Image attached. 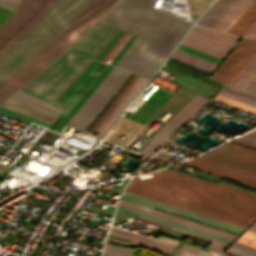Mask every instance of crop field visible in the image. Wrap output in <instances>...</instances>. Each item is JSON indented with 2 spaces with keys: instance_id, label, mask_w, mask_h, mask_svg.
I'll list each match as a JSON object with an SVG mask.
<instances>
[{
  "instance_id": "obj_1",
  "label": "crop field",
  "mask_w": 256,
  "mask_h": 256,
  "mask_svg": "<svg viewBox=\"0 0 256 256\" xmlns=\"http://www.w3.org/2000/svg\"><path fill=\"white\" fill-rule=\"evenodd\" d=\"M154 175V176H153ZM134 177L126 192L246 228L256 218V193L170 169Z\"/></svg>"
},
{
  "instance_id": "obj_2",
  "label": "crop field",
  "mask_w": 256,
  "mask_h": 256,
  "mask_svg": "<svg viewBox=\"0 0 256 256\" xmlns=\"http://www.w3.org/2000/svg\"><path fill=\"white\" fill-rule=\"evenodd\" d=\"M154 0H118L99 22L140 35L117 66L147 78L191 23L152 8Z\"/></svg>"
},
{
  "instance_id": "obj_3",
  "label": "crop field",
  "mask_w": 256,
  "mask_h": 256,
  "mask_svg": "<svg viewBox=\"0 0 256 256\" xmlns=\"http://www.w3.org/2000/svg\"><path fill=\"white\" fill-rule=\"evenodd\" d=\"M115 1L91 0L59 35L0 85V105L79 39Z\"/></svg>"
},
{
  "instance_id": "obj_4",
  "label": "crop field",
  "mask_w": 256,
  "mask_h": 256,
  "mask_svg": "<svg viewBox=\"0 0 256 256\" xmlns=\"http://www.w3.org/2000/svg\"><path fill=\"white\" fill-rule=\"evenodd\" d=\"M89 1L56 0L43 18L0 56V84L60 33Z\"/></svg>"
},
{
  "instance_id": "obj_5",
  "label": "crop field",
  "mask_w": 256,
  "mask_h": 256,
  "mask_svg": "<svg viewBox=\"0 0 256 256\" xmlns=\"http://www.w3.org/2000/svg\"><path fill=\"white\" fill-rule=\"evenodd\" d=\"M180 164L256 189V151L231 142Z\"/></svg>"
},
{
  "instance_id": "obj_6",
  "label": "crop field",
  "mask_w": 256,
  "mask_h": 256,
  "mask_svg": "<svg viewBox=\"0 0 256 256\" xmlns=\"http://www.w3.org/2000/svg\"><path fill=\"white\" fill-rule=\"evenodd\" d=\"M90 60L89 57L66 51L21 90L65 110L67 106L54 101V99Z\"/></svg>"
},
{
  "instance_id": "obj_7",
  "label": "crop field",
  "mask_w": 256,
  "mask_h": 256,
  "mask_svg": "<svg viewBox=\"0 0 256 256\" xmlns=\"http://www.w3.org/2000/svg\"><path fill=\"white\" fill-rule=\"evenodd\" d=\"M53 1H21L16 11L0 26V55L40 18Z\"/></svg>"
},
{
  "instance_id": "obj_8",
  "label": "crop field",
  "mask_w": 256,
  "mask_h": 256,
  "mask_svg": "<svg viewBox=\"0 0 256 256\" xmlns=\"http://www.w3.org/2000/svg\"><path fill=\"white\" fill-rule=\"evenodd\" d=\"M129 74L130 72L113 67L68 124L86 130L95 116L129 76Z\"/></svg>"
},
{
  "instance_id": "obj_9",
  "label": "crop field",
  "mask_w": 256,
  "mask_h": 256,
  "mask_svg": "<svg viewBox=\"0 0 256 256\" xmlns=\"http://www.w3.org/2000/svg\"><path fill=\"white\" fill-rule=\"evenodd\" d=\"M209 100L195 95L183 108L173 115L155 134L153 139L141 152L144 155L152 156L160 147L161 143L176 129L190 120Z\"/></svg>"
},
{
  "instance_id": "obj_10",
  "label": "crop field",
  "mask_w": 256,
  "mask_h": 256,
  "mask_svg": "<svg viewBox=\"0 0 256 256\" xmlns=\"http://www.w3.org/2000/svg\"><path fill=\"white\" fill-rule=\"evenodd\" d=\"M255 53L256 40L243 38L213 77H211L229 85Z\"/></svg>"
},
{
  "instance_id": "obj_11",
  "label": "crop field",
  "mask_w": 256,
  "mask_h": 256,
  "mask_svg": "<svg viewBox=\"0 0 256 256\" xmlns=\"http://www.w3.org/2000/svg\"><path fill=\"white\" fill-rule=\"evenodd\" d=\"M116 29L96 23L68 50L94 57L114 34Z\"/></svg>"
},
{
  "instance_id": "obj_12",
  "label": "crop field",
  "mask_w": 256,
  "mask_h": 256,
  "mask_svg": "<svg viewBox=\"0 0 256 256\" xmlns=\"http://www.w3.org/2000/svg\"><path fill=\"white\" fill-rule=\"evenodd\" d=\"M118 205L132 209V210H136V211H139L142 213H146V214H149V215H152L155 217H159V218H162L165 220H169V221H172V222H175L178 224H182V225L194 228V229H198V230H201V231H204L207 233H211V234H214V235H217V236H220L223 238H227L230 240H232L233 238L236 237V235H233V234H230V233H227L224 231H220V230H217V229H214V228H211V227H208V226L196 223V222H192V221H189V220H186V219L174 216V215H170V214H167V213H164L161 211H157V210L147 208V207H144L141 205H137V204H134L131 202H127L124 200H120Z\"/></svg>"
},
{
  "instance_id": "obj_13",
  "label": "crop field",
  "mask_w": 256,
  "mask_h": 256,
  "mask_svg": "<svg viewBox=\"0 0 256 256\" xmlns=\"http://www.w3.org/2000/svg\"><path fill=\"white\" fill-rule=\"evenodd\" d=\"M109 234L134 240V244L145 246L166 255H168L171 250L178 244V242L169 238L161 237V239L157 241L140 234L129 232L116 227H112Z\"/></svg>"
},
{
  "instance_id": "obj_14",
  "label": "crop field",
  "mask_w": 256,
  "mask_h": 256,
  "mask_svg": "<svg viewBox=\"0 0 256 256\" xmlns=\"http://www.w3.org/2000/svg\"><path fill=\"white\" fill-rule=\"evenodd\" d=\"M189 35L205 40L212 44L218 45L220 47L226 48L228 50H230L231 47L239 39L238 37L223 34L198 26H194L193 29L190 31Z\"/></svg>"
},
{
  "instance_id": "obj_15",
  "label": "crop field",
  "mask_w": 256,
  "mask_h": 256,
  "mask_svg": "<svg viewBox=\"0 0 256 256\" xmlns=\"http://www.w3.org/2000/svg\"><path fill=\"white\" fill-rule=\"evenodd\" d=\"M107 64L98 63V65L92 70V72L84 79V81L77 87V89L72 93V95L64 103L69 107L64 111L59 119L51 126L50 129H54L55 126L61 121V119L68 113V111L73 107L77 100L82 96L86 89L91 85V83L96 79V77L101 73Z\"/></svg>"
},
{
  "instance_id": "obj_16",
  "label": "crop field",
  "mask_w": 256,
  "mask_h": 256,
  "mask_svg": "<svg viewBox=\"0 0 256 256\" xmlns=\"http://www.w3.org/2000/svg\"><path fill=\"white\" fill-rule=\"evenodd\" d=\"M10 99L15 100L17 102H20L22 104H25L27 106H30L32 108H35L37 110H40L42 112H45L47 114H50L55 117H59L63 110L52 106L44 101H41L23 91L16 92Z\"/></svg>"
},
{
  "instance_id": "obj_17",
  "label": "crop field",
  "mask_w": 256,
  "mask_h": 256,
  "mask_svg": "<svg viewBox=\"0 0 256 256\" xmlns=\"http://www.w3.org/2000/svg\"><path fill=\"white\" fill-rule=\"evenodd\" d=\"M121 199H125V200H128V201H132V202H135V203L146 205V206H149V207H152V208H156V209H159V210H163V211H166V212L177 214V215H180V216H183V217H186V218H190V219H193V220L205 223V224H209V225H212V226H215V227L227 230V231H231V232H234V233H237V234H239L241 232V230H238V229H234V228L222 225V224H218V223L206 220V219H202V218L190 215V214H186V213H183V212H180V211H177V210H173V209H170V208H167V207H163V206H160V205H157V204H154V203H150V202H147V201H144V200H141V199H137V198H134V197H131V196H127V195H124V194H122Z\"/></svg>"
},
{
  "instance_id": "obj_18",
  "label": "crop field",
  "mask_w": 256,
  "mask_h": 256,
  "mask_svg": "<svg viewBox=\"0 0 256 256\" xmlns=\"http://www.w3.org/2000/svg\"><path fill=\"white\" fill-rule=\"evenodd\" d=\"M236 0H217L205 13L198 25L211 28Z\"/></svg>"
},
{
  "instance_id": "obj_19",
  "label": "crop field",
  "mask_w": 256,
  "mask_h": 256,
  "mask_svg": "<svg viewBox=\"0 0 256 256\" xmlns=\"http://www.w3.org/2000/svg\"><path fill=\"white\" fill-rule=\"evenodd\" d=\"M182 44L222 59L228 50L187 35Z\"/></svg>"
},
{
  "instance_id": "obj_20",
  "label": "crop field",
  "mask_w": 256,
  "mask_h": 256,
  "mask_svg": "<svg viewBox=\"0 0 256 256\" xmlns=\"http://www.w3.org/2000/svg\"><path fill=\"white\" fill-rule=\"evenodd\" d=\"M171 58L176 59L178 61L184 62L196 68L202 69L209 73L217 66V64L209 62L207 60L201 59L194 55L188 54L186 52L180 51L178 49L172 54Z\"/></svg>"
},
{
  "instance_id": "obj_21",
  "label": "crop field",
  "mask_w": 256,
  "mask_h": 256,
  "mask_svg": "<svg viewBox=\"0 0 256 256\" xmlns=\"http://www.w3.org/2000/svg\"><path fill=\"white\" fill-rule=\"evenodd\" d=\"M256 22V1L232 26L228 33L243 36L247 30Z\"/></svg>"
},
{
  "instance_id": "obj_22",
  "label": "crop field",
  "mask_w": 256,
  "mask_h": 256,
  "mask_svg": "<svg viewBox=\"0 0 256 256\" xmlns=\"http://www.w3.org/2000/svg\"><path fill=\"white\" fill-rule=\"evenodd\" d=\"M112 66L107 65L106 69L101 73V75L93 82V84L87 89L83 96L78 100L74 107L69 111V113L63 118V120L56 126L54 131L60 132L61 129L66 125L70 118L75 114L79 107L84 103L92 91L97 87V85L102 81V79L111 70Z\"/></svg>"
},
{
  "instance_id": "obj_23",
  "label": "crop field",
  "mask_w": 256,
  "mask_h": 256,
  "mask_svg": "<svg viewBox=\"0 0 256 256\" xmlns=\"http://www.w3.org/2000/svg\"><path fill=\"white\" fill-rule=\"evenodd\" d=\"M249 1L237 0L212 28L223 31Z\"/></svg>"
},
{
  "instance_id": "obj_24",
  "label": "crop field",
  "mask_w": 256,
  "mask_h": 256,
  "mask_svg": "<svg viewBox=\"0 0 256 256\" xmlns=\"http://www.w3.org/2000/svg\"><path fill=\"white\" fill-rule=\"evenodd\" d=\"M138 220H142V221L157 224V225H160V226L168 227V228H171V229H174V230H177V231H180V232H183V233H186V234H189V235H192V236L210 241L212 243L210 244L209 248H212V249L217 250L219 252H221L228 245V243H225V242H222V241H218V240H215V239L203 236V235H199V234H196V233L184 230V229H180V228H177V227H174V226H171V225H167V224L160 223V222H157V221H153V220H150V219H146V218H143V217H138Z\"/></svg>"
},
{
  "instance_id": "obj_25",
  "label": "crop field",
  "mask_w": 256,
  "mask_h": 256,
  "mask_svg": "<svg viewBox=\"0 0 256 256\" xmlns=\"http://www.w3.org/2000/svg\"><path fill=\"white\" fill-rule=\"evenodd\" d=\"M146 80L141 79V81L138 83V85L134 88V90L131 92V94L127 97V99L124 101V103L120 106V108L117 110V112L114 114V116L110 119V121L107 123V125L103 128V130L99 133L98 137H102L105 132L112 126L114 121L117 119L119 114L122 112L124 107L128 104V102L135 96V94L141 89V87L145 84Z\"/></svg>"
},
{
  "instance_id": "obj_26",
  "label": "crop field",
  "mask_w": 256,
  "mask_h": 256,
  "mask_svg": "<svg viewBox=\"0 0 256 256\" xmlns=\"http://www.w3.org/2000/svg\"><path fill=\"white\" fill-rule=\"evenodd\" d=\"M117 209L125 211V212H129V213H132V214L144 216V217H147V218H150V219H154V220H157V221H161V222H164V223H167V224H171V225H174V226H177V227H180V228H184V229H187V230L199 233V234H203V235H206V236H209V237H212V238H215V239L222 240V241L230 243V240L223 239V238L211 235V234H207V233H204V232H201V231H198V230H194V229H191V228H188V227H185V226H182V225H178V224H175V223H172V222H169V221H165V220H162V219H159V218H155V217H152V216H149V215H145V214H142V213H139V212H136V211H132V210H129V209H126V208H122V207H119V206H118Z\"/></svg>"
},
{
  "instance_id": "obj_27",
  "label": "crop field",
  "mask_w": 256,
  "mask_h": 256,
  "mask_svg": "<svg viewBox=\"0 0 256 256\" xmlns=\"http://www.w3.org/2000/svg\"><path fill=\"white\" fill-rule=\"evenodd\" d=\"M176 256H225V255L218 254L212 250L202 251L200 249L185 245Z\"/></svg>"
},
{
  "instance_id": "obj_28",
  "label": "crop field",
  "mask_w": 256,
  "mask_h": 256,
  "mask_svg": "<svg viewBox=\"0 0 256 256\" xmlns=\"http://www.w3.org/2000/svg\"><path fill=\"white\" fill-rule=\"evenodd\" d=\"M256 65V54L253 58L248 62V64L242 69V71L237 75V77L232 81L230 86L238 88L239 85L243 82V80L247 77V75L251 72V70Z\"/></svg>"
},
{
  "instance_id": "obj_29",
  "label": "crop field",
  "mask_w": 256,
  "mask_h": 256,
  "mask_svg": "<svg viewBox=\"0 0 256 256\" xmlns=\"http://www.w3.org/2000/svg\"><path fill=\"white\" fill-rule=\"evenodd\" d=\"M124 194L131 195V196H134V197H137V198H141V199H144V200H147V201H150V202H154V203H157V204H160V205H163V206H167V207H170V208H173V209H177V210H180V211H183V212H186V213H190V214H193V215H196V216H199V217H202V218H206V219L218 222V223H222V224L234 227V228H238V229H241V230L244 229V228H241V227H238V226H235V225H232V224H228V223H225V222H222V221H219V220H216V219H213V218L201 215V214H197V213H194V212L182 209V208H178V207H175V206H171V205H168V204H164V203H161V202H157V201H154V200H151V199H147V198L140 197V196H137V195L126 193V192H124Z\"/></svg>"
},
{
  "instance_id": "obj_30",
  "label": "crop field",
  "mask_w": 256,
  "mask_h": 256,
  "mask_svg": "<svg viewBox=\"0 0 256 256\" xmlns=\"http://www.w3.org/2000/svg\"><path fill=\"white\" fill-rule=\"evenodd\" d=\"M98 61L94 60L93 63L83 72V74L71 85V87L62 95L59 101L64 102L66 98L75 90V88L83 81V79L91 72L97 65Z\"/></svg>"
},
{
  "instance_id": "obj_31",
  "label": "crop field",
  "mask_w": 256,
  "mask_h": 256,
  "mask_svg": "<svg viewBox=\"0 0 256 256\" xmlns=\"http://www.w3.org/2000/svg\"><path fill=\"white\" fill-rule=\"evenodd\" d=\"M214 100H217V101L223 102L225 104H228V105H231V106H234V107H237V108H240V109H243L248 112L256 114V108L248 106L246 104H243V103H240V102H237V101H234V100H231V99L219 96V95H217L214 98Z\"/></svg>"
},
{
  "instance_id": "obj_32",
  "label": "crop field",
  "mask_w": 256,
  "mask_h": 256,
  "mask_svg": "<svg viewBox=\"0 0 256 256\" xmlns=\"http://www.w3.org/2000/svg\"><path fill=\"white\" fill-rule=\"evenodd\" d=\"M137 76L134 75L132 80L129 82V84L126 86V88L123 90V92L120 94V96L116 99V101L111 105V107L105 112V114L100 118V120L96 123V125L92 128L90 133H94V131L98 128V126L103 122V120L107 117V115L111 112V110L116 106V104L120 101V99L124 96V94L127 92V90L130 88V86L133 84V82L136 80Z\"/></svg>"
},
{
  "instance_id": "obj_33",
  "label": "crop field",
  "mask_w": 256,
  "mask_h": 256,
  "mask_svg": "<svg viewBox=\"0 0 256 256\" xmlns=\"http://www.w3.org/2000/svg\"><path fill=\"white\" fill-rule=\"evenodd\" d=\"M219 95H222V96H225V97H228V98H231V99H234V100H237V101H240V102H243V103H246V104L256 107V100L238 95L236 93H233V92H230V91H227L224 89H222L220 91Z\"/></svg>"
},
{
  "instance_id": "obj_34",
  "label": "crop field",
  "mask_w": 256,
  "mask_h": 256,
  "mask_svg": "<svg viewBox=\"0 0 256 256\" xmlns=\"http://www.w3.org/2000/svg\"><path fill=\"white\" fill-rule=\"evenodd\" d=\"M1 107H4V108L9 109V110H12V111H15V112L20 113V114H23V115H26V116H28V117L34 118V119H36V120L45 122V123L50 124V125H52V124L54 123V121H51V120H49V119H46V118L37 116V115L32 114V113H29V112H26V111H24V110L18 109V108H16V107L10 106V105L5 104V103H3V104L1 105Z\"/></svg>"
},
{
  "instance_id": "obj_35",
  "label": "crop field",
  "mask_w": 256,
  "mask_h": 256,
  "mask_svg": "<svg viewBox=\"0 0 256 256\" xmlns=\"http://www.w3.org/2000/svg\"><path fill=\"white\" fill-rule=\"evenodd\" d=\"M178 49L186 51V52L191 53V54H194V55L199 56L201 58L207 59L209 61L215 62L217 64H219V62H220V59H218V58H215L213 56L207 55V54L202 53L200 51H197L195 49L189 48V47L184 46L182 44L179 45Z\"/></svg>"
},
{
  "instance_id": "obj_36",
  "label": "crop field",
  "mask_w": 256,
  "mask_h": 256,
  "mask_svg": "<svg viewBox=\"0 0 256 256\" xmlns=\"http://www.w3.org/2000/svg\"><path fill=\"white\" fill-rule=\"evenodd\" d=\"M237 241L256 248V233L247 230Z\"/></svg>"
},
{
  "instance_id": "obj_37",
  "label": "crop field",
  "mask_w": 256,
  "mask_h": 256,
  "mask_svg": "<svg viewBox=\"0 0 256 256\" xmlns=\"http://www.w3.org/2000/svg\"><path fill=\"white\" fill-rule=\"evenodd\" d=\"M0 113H3V114H6V115H9V116H13V117H16V118H19V119H22V120H25V121H28V122H33V123H36V124H39V125H42V126H45V127L50 128V125H47V124H45V123L36 121V120H34V119L25 117V116H23V115L17 114V113H15V112L6 110V109L1 108V107H0Z\"/></svg>"
},
{
  "instance_id": "obj_38",
  "label": "crop field",
  "mask_w": 256,
  "mask_h": 256,
  "mask_svg": "<svg viewBox=\"0 0 256 256\" xmlns=\"http://www.w3.org/2000/svg\"><path fill=\"white\" fill-rule=\"evenodd\" d=\"M5 103H8V104H10V105L19 107V108L24 109V110H27V111H30V112H32V113L38 114V115H40V116L49 118V119L54 120V121L57 119V118H55V117H52V116H50V115H47V114H45V113H42V112H40V111H37V110H35V109H32V108L27 107V106H25V105L19 104V103H17V102H14V101H12V100H9V99L6 100Z\"/></svg>"
},
{
  "instance_id": "obj_39",
  "label": "crop field",
  "mask_w": 256,
  "mask_h": 256,
  "mask_svg": "<svg viewBox=\"0 0 256 256\" xmlns=\"http://www.w3.org/2000/svg\"><path fill=\"white\" fill-rule=\"evenodd\" d=\"M140 77L137 78V80L134 82V84L131 86V88L128 90V92L125 94V96L121 99V101L117 104V106L114 108V110L110 113V115L106 118V120L103 122V124L99 127V131L102 130V128L106 125V123L109 121V119L112 117V115L116 112V110L119 108V106L123 103V101L126 99V97L130 94V92L133 90V88L137 85V83L140 81Z\"/></svg>"
},
{
  "instance_id": "obj_40",
  "label": "crop field",
  "mask_w": 256,
  "mask_h": 256,
  "mask_svg": "<svg viewBox=\"0 0 256 256\" xmlns=\"http://www.w3.org/2000/svg\"><path fill=\"white\" fill-rule=\"evenodd\" d=\"M104 251L114 253V254H118V255H122V256H131V251L130 250L118 248V247L107 245V244L105 246Z\"/></svg>"
},
{
  "instance_id": "obj_41",
  "label": "crop field",
  "mask_w": 256,
  "mask_h": 256,
  "mask_svg": "<svg viewBox=\"0 0 256 256\" xmlns=\"http://www.w3.org/2000/svg\"><path fill=\"white\" fill-rule=\"evenodd\" d=\"M136 36H131L128 41L125 43V45L121 48V50L118 52V54L113 58V60L110 62V64L114 65L115 62L120 58V56L125 52V50L130 46V44L135 40ZM132 39V40H131Z\"/></svg>"
},
{
  "instance_id": "obj_42",
  "label": "crop field",
  "mask_w": 256,
  "mask_h": 256,
  "mask_svg": "<svg viewBox=\"0 0 256 256\" xmlns=\"http://www.w3.org/2000/svg\"><path fill=\"white\" fill-rule=\"evenodd\" d=\"M226 253L234 255V256H256L254 254H251L249 252L243 251L241 249L235 248L233 246H231Z\"/></svg>"
},
{
  "instance_id": "obj_43",
  "label": "crop field",
  "mask_w": 256,
  "mask_h": 256,
  "mask_svg": "<svg viewBox=\"0 0 256 256\" xmlns=\"http://www.w3.org/2000/svg\"><path fill=\"white\" fill-rule=\"evenodd\" d=\"M123 33V31H119L118 34L113 38V40L107 45V47L102 51V53L98 56V60H100L109 50L110 48L115 44V42L118 40L120 35Z\"/></svg>"
},
{
  "instance_id": "obj_44",
  "label": "crop field",
  "mask_w": 256,
  "mask_h": 256,
  "mask_svg": "<svg viewBox=\"0 0 256 256\" xmlns=\"http://www.w3.org/2000/svg\"><path fill=\"white\" fill-rule=\"evenodd\" d=\"M224 89L239 93L241 95L256 99V95L225 85Z\"/></svg>"
},
{
  "instance_id": "obj_45",
  "label": "crop field",
  "mask_w": 256,
  "mask_h": 256,
  "mask_svg": "<svg viewBox=\"0 0 256 256\" xmlns=\"http://www.w3.org/2000/svg\"><path fill=\"white\" fill-rule=\"evenodd\" d=\"M127 36V33H123V35L120 37V39L117 41V43L112 47V49L101 59V61H106L108 57L113 53V51L116 49V47L122 42V40Z\"/></svg>"
},
{
  "instance_id": "obj_46",
  "label": "crop field",
  "mask_w": 256,
  "mask_h": 256,
  "mask_svg": "<svg viewBox=\"0 0 256 256\" xmlns=\"http://www.w3.org/2000/svg\"><path fill=\"white\" fill-rule=\"evenodd\" d=\"M256 75V67L252 70V72L248 75V77L244 80V82L240 85V89H245V87L250 83V81L255 77Z\"/></svg>"
},
{
  "instance_id": "obj_47",
  "label": "crop field",
  "mask_w": 256,
  "mask_h": 256,
  "mask_svg": "<svg viewBox=\"0 0 256 256\" xmlns=\"http://www.w3.org/2000/svg\"><path fill=\"white\" fill-rule=\"evenodd\" d=\"M255 0H251L247 6L237 15V17L228 25V27L224 30L227 32L231 26L240 18V16L250 7V5L254 2Z\"/></svg>"
},
{
  "instance_id": "obj_48",
  "label": "crop field",
  "mask_w": 256,
  "mask_h": 256,
  "mask_svg": "<svg viewBox=\"0 0 256 256\" xmlns=\"http://www.w3.org/2000/svg\"><path fill=\"white\" fill-rule=\"evenodd\" d=\"M12 11L0 8V25L11 15Z\"/></svg>"
},
{
  "instance_id": "obj_49",
  "label": "crop field",
  "mask_w": 256,
  "mask_h": 256,
  "mask_svg": "<svg viewBox=\"0 0 256 256\" xmlns=\"http://www.w3.org/2000/svg\"><path fill=\"white\" fill-rule=\"evenodd\" d=\"M0 7H3V8H6V9L14 11V9L17 7V5L13 4V3H9V2H5V1H1L0 0Z\"/></svg>"
},
{
  "instance_id": "obj_50",
  "label": "crop field",
  "mask_w": 256,
  "mask_h": 256,
  "mask_svg": "<svg viewBox=\"0 0 256 256\" xmlns=\"http://www.w3.org/2000/svg\"><path fill=\"white\" fill-rule=\"evenodd\" d=\"M245 91L256 94V77L251 81V83L246 87Z\"/></svg>"
},
{
  "instance_id": "obj_51",
  "label": "crop field",
  "mask_w": 256,
  "mask_h": 256,
  "mask_svg": "<svg viewBox=\"0 0 256 256\" xmlns=\"http://www.w3.org/2000/svg\"><path fill=\"white\" fill-rule=\"evenodd\" d=\"M244 36L256 38V23L248 30Z\"/></svg>"
},
{
  "instance_id": "obj_52",
  "label": "crop field",
  "mask_w": 256,
  "mask_h": 256,
  "mask_svg": "<svg viewBox=\"0 0 256 256\" xmlns=\"http://www.w3.org/2000/svg\"><path fill=\"white\" fill-rule=\"evenodd\" d=\"M131 36V34H128V36L123 40V42L118 46V48L115 50V52L109 57V59L106 61L109 63L111 59L117 54V52L120 50V48L124 45V43L127 41V39Z\"/></svg>"
},
{
  "instance_id": "obj_53",
  "label": "crop field",
  "mask_w": 256,
  "mask_h": 256,
  "mask_svg": "<svg viewBox=\"0 0 256 256\" xmlns=\"http://www.w3.org/2000/svg\"><path fill=\"white\" fill-rule=\"evenodd\" d=\"M232 142H235V143H238V144L245 145V146L256 149V145L251 144V143H247V142H244V141H241V140H238V139H235Z\"/></svg>"
},
{
  "instance_id": "obj_54",
  "label": "crop field",
  "mask_w": 256,
  "mask_h": 256,
  "mask_svg": "<svg viewBox=\"0 0 256 256\" xmlns=\"http://www.w3.org/2000/svg\"><path fill=\"white\" fill-rule=\"evenodd\" d=\"M108 240H112V241H116V242H120V243H123V244H127V245H131L132 246V244H129V243H125V242H122V241H119V240H116V239H112V238H107Z\"/></svg>"
},
{
  "instance_id": "obj_55",
  "label": "crop field",
  "mask_w": 256,
  "mask_h": 256,
  "mask_svg": "<svg viewBox=\"0 0 256 256\" xmlns=\"http://www.w3.org/2000/svg\"><path fill=\"white\" fill-rule=\"evenodd\" d=\"M246 135H249V136H252V137H255L256 138V130L246 134Z\"/></svg>"
},
{
  "instance_id": "obj_56",
  "label": "crop field",
  "mask_w": 256,
  "mask_h": 256,
  "mask_svg": "<svg viewBox=\"0 0 256 256\" xmlns=\"http://www.w3.org/2000/svg\"><path fill=\"white\" fill-rule=\"evenodd\" d=\"M249 230L256 232V224L249 228Z\"/></svg>"
},
{
  "instance_id": "obj_57",
  "label": "crop field",
  "mask_w": 256,
  "mask_h": 256,
  "mask_svg": "<svg viewBox=\"0 0 256 256\" xmlns=\"http://www.w3.org/2000/svg\"><path fill=\"white\" fill-rule=\"evenodd\" d=\"M5 1H9V2H13V3H17L18 4L20 0H5Z\"/></svg>"
},
{
  "instance_id": "obj_58",
  "label": "crop field",
  "mask_w": 256,
  "mask_h": 256,
  "mask_svg": "<svg viewBox=\"0 0 256 256\" xmlns=\"http://www.w3.org/2000/svg\"><path fill=\"white\" fill-rule=\"evenodd\" d=\"M103 256H117V255H113V254H109V253L104 252Z\"/></svg>"
},
{
  "instance_id": "obj_59",
  "label": "crop field",
  "mask_w": 256,
  "mask_h": 256,
  "mask_svg": "<svg viewBox=\"0 0 256 256\" xmlns=\"http://www.w3.org/2000/svg\"><path fill=\"white\" fill-rule=\"evenodd\" d=\"M115 165H116V163L114 162L112 167H111L112 170L114 169Z\"/></svg>"
}]
</instances>
